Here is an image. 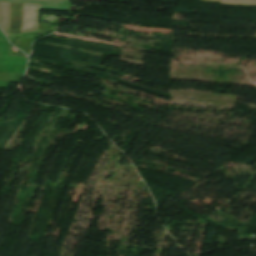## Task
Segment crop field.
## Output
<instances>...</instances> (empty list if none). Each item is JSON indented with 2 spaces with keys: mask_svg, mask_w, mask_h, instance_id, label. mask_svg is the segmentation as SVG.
<instances>
[{
  "mask_svg": "<svg viewBox=\"0 0 256 256\" xmlns=\"http://www.w3.org/2000/svg\"><path fill=\"white\" fill-rule=\"evenodd\" d=\"M38 13H39V5L23 4L21 34L37 31Z\"/></svg>",
  "mask_w": 256,
  "mask_h": 256,
  "instance_id": "crop-field-1",
  "label": "crop field"
},
{
  "mask_svg": "<svg viewBox=\"0 0 256 256\" xmlns=\"http://www.w3.org/2000/svg\"><path fill=\"white\" fill-rule=\"evenodd\" d=\"M0 2H18V3H36L40 4V8L67 10L68 2H50V1H34V0H0Z\"/></svg>",
  "mask_w": 256,
  "mask_h": 256,
  "instance_id": "crop-field-2",
  "label": "crop field"
},
{
  "mask_svg": "<svg viewBox=\"0 0 256 256\" xmlns=\"http://www.w3.org/2000/svg\"><path fill=\"white\" fill-rule=\"evenodd\" d=\"M222 3H236V4H252L256 5V0H221Z\"/></svg>",
  "mask_w": 256,
  "mask_h": 256,
  "instance_id": "crop-field-3",
  "label": "crop field"
},
{
  "mask_svg": "<svg viewBox=\"0 0 256 256\" xmlns=\"http://www.w3.org/2000/svg\"><path fill=\"white\" fill-rule=\"evenodd\" d=\"M53 1H69V0H53Z\"/></svg>",
  "mask_w": 256,
  "mask_h": 256,
  "instance_id": "crop-field-4",
  "label": "crop field"
}]
</instances>
